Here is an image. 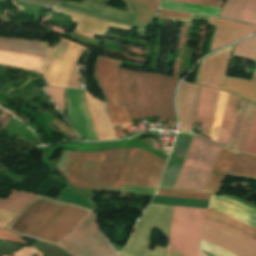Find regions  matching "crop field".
I'll list each match as a JSON object with an SVG mask.
<instances>
[{
    "label": "crop field",
    "mask_w": 256,
    "mask_h": 256,
    "mask_svg": "<svg viewBox=\"0 0 256 256\" xmlns=\"http://www.w3.org/2000/svg\"><path fill=\"white\" fill-rule=\"evenodd\" d=\"M87 211L39 195L33 203L28 202L7 229L55 244ZM56 244L73 256H111L116 253L100 232L91 210Z\"/></svg>",
    "instance_id": "obj_1"
},
{
    "label": "crop field",
    "mask_w": 256,
    "mask_h": 256,
    "mask_svg": "<svg viewBox=\"0 0 256 256\" xmlns=\"http://www.w3.org/2000/svg\"><path fill=\"white\" fill-rule=\"evenodd\" d=\"M143 151L136 148L99 152L63 150L55 166L76 187L118 191L120 184H133Z\"/></svg>",
    "instance_id": "obj_2"
},
{
    "label": "crop field",
    "mask_w": 256,
    "mask_h": 256,
    "mask_svg": "<svg viewBox=\"0 0 256 256\" xmlns=\"http://www.w3.org/2000/svg\"><path fill=\"white\" fill-rule=\"evenodd\" d=\"M211 199L227 202L233 206H236V207L256 216V210L251 209V208H249L239 202L231 200L229 198H225V197H221V196L212 194ZM213 200L210 201L208 208L217 210V211L227 214V215H230V216L256 228V217L255 216H253L249 213H246L236 207H233L227 203L213 201ZM217 211L207 209L205 218L216 221L221 224H224L231 228H234V229H236V230H238L256 240V229H254V228H252V227H250V226H248L230 216L221 214ZM206 219L204 221V226H203L204 228L216 231L220 234L230 237V238L256 250V241L255 240H253V239L249 238L248 236H246L236 230H233L229 227H226L224 225H221V224H218L216 222L209 221ZM204 228L202 231V237H201L202 240L208 241V242H210V243H212V244H214V245H216V246H218L236 256H256L255 251H253V250H251V249H249V248H247V247H245V246H243V245H241L223 235H220L216 232H213V231H210V230H207ZM202 240L200 242L199 248L203 252H205L211 256H234V255H232V254H230V253H228V252H226L208 242L202 241Z\"/></svg>",
    "instance_id": "obj_3"
},
{
    "label": "crop field",
    "mask_w": 256,
    "mask_h": 256,
    "mask_svg": "<svg viewBox=\"0 0 256 256\" xmlns=\"http://www.w3.org/2000/svg\"><path fill=\"white\" fill-rule=\"evenodd\" d=\"M126 108L132 119L160 116L175 120L173 99L177 79L118 68Z\"/></svg>",
    "instance_id": "obj_4"
},
{
    "label": "crop field",
    "mask_w": 256,
    "mask_h": 256,
    "mask_svg": "<svg viewBox=\"0 0 256 256\" xmlns=\"http://www.w3.org/2000/svg\"><path fill=\"white\" fill-rule=\"evenodd\" d=\"M221 149L195 135L174 188L203 191Z\"/></svg>",
    "instance_id": "obj_5"
},
{
    "label": "crop field",
    "mask_w": 256,
    "mask_h": 256,
    "mask_svg": "<svg viewBox=\"0 0 256 256\" xmlns=\"http://www.w3.org/2000/svg\"><path fill=\"white\" fill-rule=\"evenodd\" d=\"M205 209L175 206L168 240L169 247L184 256H196ZM197 256H207L200 249Z\"/></svg>",
    "instance_id": "obj_6"
},
{
    "label": "crop field",
    "mask_w": 256,
    "mask_h": 256,
    "mask_svg": "<svg viewBox=\"0 0 256 256\" xmlns=\"http://www.w3.org/2000/svg\"><path fill=\"white\" fill-rule=\"evenodd\" d=\"M68 42H69L68 40L61 38V40L59 41V43L56 45L54 49L48 48L45 61L40 71L41 75L45 76L52 58L59 59V60L62 59ZM80 47H81L80 45L70 41L62 61L55 60V59L52 60L50 67L48 69V72L45 76L47 83L57 87L66 86L71 65ZM85 50H86L85 48L81 47L72 65V69H71L66 87L79 88L80 74H76V70H77L78 60Z\"/></svg>",
    "instance_id": "obj_7"
},
{
    "label": "crop field",
    "mask_w": 256,
    "mask_h": 256,
    "mask_svg": "<svg viewBox=\"0 0 256 256\" xmlns=\"http://www.w3.org/2000/svg\"><path fill=\"white\" fill-rule=\"evenodd\" d=\"M121 60L99 56L96 63L95 77L108 100L107 108L114 126L134 124L123 103L118 83L117 67Z\"/></svg>",
    "instance_id": "obj_8"
},
{
    "label": "crop field",
    "mask_w": 256,
    "mask_h": 256,
    "mask_svg": "<svg viewBox=\"0 0 256 256\" xmlns=\"http://www.w3.org/2000/svg\"><path fill=\"white\" fill-rule=\"evenodd\" d=\"M226 96H227L226 93L219 91L215 119H214V123L211 129V135H210V138L214 140H217V137H218V133H219L222 117H223V112L225 108ZM241 101H242L241 99L228 94L222 126L220 130L219 138L217 141L223 145H226L230 131L235 122Z\"/></svg>",
    "instance_id": "obj_9"
},
{
    "label": "crop field",
    "mask_w": 256,
    "mask_h": 256,
    "mask_svg": "<svg viewBox=\"0 0 256 256\" xmlns=\"http://www.w3.org/2000/svg\"><path fill=\"white\" fill-rule=\"evenodd\" d=\"M210 17L209 23L216 26L217 31L215 33L212 51L231 43L235 40H238L244 36H248L249 34L256 31V26L247 25L235 21L223 20ZM213 21V23H212ZM216 30V29H215ZM212 46V44H211ZM211 50V48H210Z\"/></svg>",
    "instance_id": "obj_10"
},
{
    "label": "crop field",
    "mask_w": 256,
    "mask_h": 256,
    "mask_svg": "<svg viewBox=\"0 0 256 256\" xmlns=\"http://www.w3.org/2000/svg\"><path fill=\"white\" fill-rule=\"evenodd\" d=\"M232 46H233V44L203 59L199 81L201 80L204 63L209 60H211V63L208 62L205 64L201 83H198V84L215 87L219 90H222L224 75H225V72H226V69H227V66L229 63V62H226L228 54L215 60L211 76H207L209 63H210V68H209L208 75H210V73H211L213 61L215 58L229 52V57H228L227 61L230 60Z\"/></svg>",
    "instance_id": "obj_11"
},
{
    "label": "crop field",
    "mask_w": 256,
    "mask_h": 256,
    "mask_svg": "<svg viewBox=\"0 0 256 256\" xmlns=\"http://www.w3.org/2000/svg\"><path fill=\"white\" fill-rule=\"evenodd\" d=\"M194 135L179 133L174 150L171 153V160L167 165L166 171L162 178L161 187L173 188L176 182L181 165L187 153ZM160 187V186H159Z\"/></svg>",
    "instance_id": "obj_12"
},
{
    "label": "crop field",
    "mask_w": 256,
    "mask_h": 256,
    "mask_svg": "<svg viewBox=\"0 0 256 256\" xmlns=\"http://www.w3.org/2000/svg\"><path fill=\"white\" fill-rule=\"evenodd\" d=\"M54 12L71 15L72 22H77L76 29L83 30L89 33L103 36L109 29V27L119 28L124 30H132L131 27L92 17L86 14H82L76 11H70L66 9L54 8Z\"/></svg>",
    "instance_id": "obj_13"
},
{
    "label": "crop field",
    "mask_w": 256,
    "mask_h": 256,
    "mask_svg": "<svg viewBox=\"0 0 256 256\" xmlns=\"http://www.w3.org/2000/svg\"><path fill=\"white\" fill-rule=\"evenodd\" d=\"M62 6L95 13L103 17L134 25L133 15L131 13L121 11L96 0H82L79 4L64 0Z\"/></svg>",
    "instance_id": "obj_14"
},
{
    "label": "crop field",
    "mask_w": 256,
    "mask_h": 256,
    "mask_svg": "<svg viewBox=\"0 0 256 256\" xmlns=\"http://www.w3.org/2000/svg\"><path fill=\"white\" fill-rule=\"evenodd\" d=\"M218 91L200 87L195 121L201 122L200 133L208 136L214 115Z\"/></svg>",
    "instance_id": "obj_15"
},
{
    "label": "crop field",
    "mask_w": 256,
    "mask_h": 256,
    "mask_svg": "<svg viewBox=\"0 0 256 256\" xmlns=\"http://www.w3.org/2000/svg\"><path fill=\"white\" fill-rule=\"evenodd\" d=\"M155 159H156V156L152 155L147 151H144L143 158H142L140 167L136 173L133 185H140V186L148 185L151 169L155 162ZM165 162H166L165 160L159 157L157 158L152 169L148 186L157 187Z\"/></svg>",
    "instance_id": "obj_16"
},
{
    "label": "crop field",
    "mask_w": 256,
    "mask_h": 256,
    "mask_svg": "<svg viewBox=\"0 0 256 256\" xmlns=\"http://www.w3.org/2000/svg\"><path fill=\"white\" fill-rule=\"evenodd\" d=\"M219 16L256 24V0H227Z\"/></svg>",
    "instance_id": "obj_17"
},
{
    "label": "crop field",
    "mask_w": 256,
    "mask_h": 256,
    "mask_svg": "<svg viewBox=\"0 0 256 256\" xmlns=\"http://www.w3.org/2000/svg\"><path fill=\"white\" fill-rule=\"evenodd\" d=\"M235 156L236 153L229 152L224 148L222 149L219 158L213 167L209 182L204 192L219 195L225 176Z\"/></svg>",
    "instance_id": "obj_18"
},
{
    "label": "crop field",
    "mask_w": 256,
    "mask_h": 256,
    "mask_svg": "<svg viewBox=\"0 0 256 256\" xmlns=\"http://www.w3.org/2000/svg\"><path fill=\"white\" fill-rule=\"evenodd\" d=\"M254 107H255L254 104L245 100L242 101V104L237 116V120L235 122L234 128L228 140V143L226 145V147H228L229 149L238 151L243 141V137L247 129V126L249 124L250 118L252 116Z\"/></svg>",
    "instance_id": "obj_19"
},
{
    "label": "crop field",
    "mask_w": 256,
    "mask_h": 256,
    "mask_svg": "<svg viewBox=\"0 0 256 256\" xmlns=\"http://www.w3.org/2000/svg\"><path fill=\"white\" fill-rule=\"evenodd\" d=\"M86 97L96 126L98 138H115L111 123L106 115L105 106L100 101L92 98L88 93H86Z\"/></svg>",
    "instance_id": "obj_20"
},
{
    "label": "crop field",
    "mask_w": 256,
    "mask_h": 256,
    "mask_svg": "<svg viewBox=\"0 0 256 256\" xmlns=\"http://www.w3.org/2000/svg\"><path fill=\"white\" fill-rule=\"evenodd\" d=\"M0 50L44 56L46 46L35 40L0 37Z\"/></svg>",
    "instance_id": "obj_21"
},
{
    "label": "crop field",
    "mask_w": 256,
    "mask_h": 256,
    "mask_svg": "<svg viewBox=\"0 0 256 256\" xmlns=\"http://www.w3.org/2000/svg\"><path fill=\"white\" fill-rule=\"evenodd\" d=\"M43 57L0 51V64L39 71Z\"/></svg>",
    "instance_id": "obj_22"
},
{
    "label": "crop field",
    "mask_w": 256,
    "mask_h": 256,
    "mask_svg": "<svg viewBox=\"0 0 256 256\" xmlns=\"http://www.w3.org/2000/svg\"><path fill=\"white\" fill-rule=\"evenodd\" d=\"M223 90L256 103V82L225 77Z\"/></svg>",
    "instance_id": "obj_23"
},
{
    "label": "crop field",
    "mask_w": 256,
    "mask_h": 256,
    "mask_svg": "<svg viewBox=\"0 0 256 256\" xmlns=\"http://www.w3.org/2000/svg\"><path fill=\"white\" fill-rule=\"evenodd\" d=\"M227 175L256 179V158L237 154Z\"/></svg>",
    "instance_id": "obj_24"
},
{
    "label": "crop field",
    "mask_w": 256,
    "mask_h": 256,
    "mask_svg": "<svg viewBox=\"0 0 256 256\" xmlns=\"http://www.w3.org/2000/svg\"><path fill=\"white\" fill-rule=\"evenodd\" d=\"M38 195L13 191L7 199H0V210L20 213L28 201L33 202Z\"/></svg>",
    "instance_id": "obj_25"
},
{
    "label": "crop field",
    "mask_w": 256,
    "mask_h": 256,
    "mask_svg": "<svg viewBox=\"0 0 256 256\" xmlns=\"http://www.w3.org/2000/svg\"><path fill=\"white\" fill-rule=\"evenodd\" d=\"M134 11L138 27H146L155 14L150 6L142 0H127Z\"/></svg>",
    "instance_id": "obj_26"
},
{
    "label": "crop field",
    "mask_w": 256,
    "mask_h": 256,
    "mask_svg": "<svg viewBox=\"0 0 256 256\" xmlns=\"http://www.w3.org/2000/svg\"><path fill=\"white\" fill-rule=\"evenodd\" d=\"M161 8L218 15L220 9L161 0Z\"/></svg>",
    "instance_id": "obj_27"
},
{
    "label": "crop field",
    "mask_w": 256,
    "mask_h": 256,
    "mask_svg": "<svg viewBox=\"0 0 256 256\" xmlns=\"http://www.w3.org/2000/svg\"><path fill=\"white\" fill-rule=\"evenodd\" d=\"M239 152L256 157V107Z\"/></svg>",
    "instance_id": "obj_28"
},
{
    "label": "crop field",
    "mask_w": 256,
    "mask_h": 256,
    "mask_svg": "<svg viewBox=\"0 0 256 256\" xmlns=\"http://www.w3.org/2000/svg\"><path fill=\"white\" fill-rule=\"evenodd\" d=\"M152 203L163 204V205H179V206H187V207H201L206 209L209 202L200 201V200L155 196Z\"/></svg>",
    "instance_id": "obj_29"
},
{
    "label": "crop field",
    "mask_w": 256,
    "mask_h": 256,
    "mask_svg": "<svg viewBox=\"0 0 256 256\" xmlns=\"http://www.w3.org/2000/svg\"><path fill=\"white\" fill-rule=\"evenodd\" d=\"M233 55L244 56L253 60L256 57V36L237 43Z\"/></svg>",
    "instance_id": "obj_30"
},
{
    "label": "crop field",
    "mask_w": 256,
    "mask_h": 256,
    "mask_svg": "<svg viewBox=\"0 0 256 256\" xmlns=\"http://www.w3.org/2000/svg\"><path fill=\"white\" fill-rule=\"evenodd\" d=\"M156 195L160 196H170V197H181V198H193L202 199L209 201L210 194L199 193V192H188V191H176V190H164L158 189Z\"/></svg>",
    "instance_id": "obj_31"
},
{
    "label": "crop field",
    "mask_w": 256,
    "mask_h": 256,
    "mask_svg": "<svg viewBox=\"0 0 256 256\" xmlns=\"http://www.w3.org/2000/svg\"><path fill=\"white\" fill-rule=\"evenodd\" d=\"M58 199L65 201V202H69V203L82 205V206L91 208L90 201L87 198L81 196L80 194L74 192L73 190L69 189L66 186L63 189V191L61 192Z\"/></svg>",
    "instance_id": "obj_32"
},
{
    "label": "crop field",
    "mask_w": 256,
    "mask_h": 256,
    "mask_svg": "<svg viewBox=\"0 0 256 256\" xmlns=\"http://www.w3.org/2000/svg\"><path fill=\"white\" fill-rule=\"evenodd\" d=\"M194 15L191 14H185V13H178V12H172V11H166L161 10L158 17L160 18H167V19H175V20H182V21H188L192 20Z\"/></svg>",
    "instance_id": "obj_33"
},
{
    "label": "crop field",
    "mask_w": 256,
    "mask_h": 256,
    "mask_svg": "<svg viewBox=\"0 0 256 256\" xmlns=\"http://www.w3.org/2000/svg\"><path fill=\"white\" fill-rule=\"evenodd\" d=\"M63 91L64 89L62 88H51V87L46 88V92L57 104V106L61 111L63 109Z\"/></svg>",
    "instance_id": "obj_34"
},
{
    "label": "crop field",
    "mask_w": 256,
    "mask_h": 256,
    "mask_svg": "<svg viewBox=\"0 0 256 256\" xmlns=\"http://www.w3.org/2000/svg\"><path fill=\"white\" fill-rule=\"evenodd\" d=\"M0 240L26 244L21 237L3 228H0Z\"/></svg>",
    "instance_id": "obj_35"
},
{
    "label": "crop field",
    "mask_w": 256,
    "mask_h": 256,
    "mask_svg": "<svg viewBox=\"0 0 256 256\" xmlns=\"http://www.w3.org/2000/svg\"><path fill=\"white\" fill-rule=\"evenodd\" d=\"M171 1L205 5V6L218 7V8H221L222 2H223L220 0H171Z\"/></svg>",
    "instance_id": "obj_36"
},
{
    "label": "crop field",
    "mask_w": 256,
    "mask_h": 256,
    "mask_svg": "<svg viewBox=\"0 0 256 256\" xmlns=\"http://www.w3.org/2000/svg\"><path fill=\"white\" fill-rule=\"evenodd\" d=\"M51 124L57 126L63 133L69 136L77 137L75 132H73L70 128H68L64 123L60 122L59 120L56 119Z\"/></svg>",
    "instance_id": "obj_37"
},
{
    "label": "crop field",
    "mask_w": 256,
    "mask_h": 256,
    "mask_svg": "<svg viewBox=\"0 0 256 256\" xmlns=\"http://www.w3.org/2000/svg\"><path fill=\"white\" fill-rule=\"evenodd\" d=\"M143 1H145L147 4L154 7L155 9H158L159 0H143Z\"/></svg>",
    "instance_id": "obj_38"
},
{
    "label": "crop field",
    "mask_w": 256,
    "mask_h": 256,
    "mask_svg": "<svg viewBox=\"0 0 256 256\" xmlns=\"http://www.w3.org/2000/svg\"><path fill=\"white\" fill-rule=\"evenodd\" d=\"M116 132L117 138L125 137V133L123 131V128H114Z\"/></svg>",
    "instance_id": "obj_39"
},
{
    "label": "crop field",
    "mask_w": 256,
    "mask_h": 256,
    "mask_svg": "<svg viewBox=\"0 0 256 256\" xmlns=\"http://www.w3.org/2000/svg\"><path fill=\"white\" fill-rule=\"evenodd\" d=\"M201 61H202V60H201ZM200 66H201V62H200V65H199V69H198V73H197V77H196V81H195V83H196V84H197V82H198V77H199Z\"/></svg>",
    "instance_id": "obj_40"
},
{
    "label": "crop field",
    "mask_w": 256,
    "mask_h": 256,
    "mask_svg": "<svg viewBox=\"0 0 256 256\" xmlns=\"http://www.w3.org/2000/svg\"><path fill=\"white\" fill-rule=\"evenodd\" d=\"M251 80L256 81V68H255V71H254V74H253V76H252V79H251Z\"/></svg>",
    "instance_id": "obj_41"
},
{
    "label": "crop field",
    "mask_w": 256,
    "mask_h": 256,
    "mask_svg": "<svg viewBox=\"0 0 256 256\" xmlns=\"http://www.w3.org/2000/svg\"><path fill=\"white\" fill-rule=\"evenodd\" d=\"M3 168L2 166H0V169Z\"/></svg>",
    "instance_id": "obj_42"
},
{
    "label": "crop field",
    "mask_w": 256,
    "mask_h": 256,
    "mask_svg": "<svg viewBox=\"0 0 256 256\" xmlns=\"http://www.w3.org/2000/svg\"><path fill=\"white\" fill-rule=\"evenodd\" d=\"M254 61H256V58L254 59Z\"/></svg>",
    "instance_id": "obj_43"
},
{
    "label": "crop field",
    "mask_w": 256,
    "mask_h": 256,
    "mask_svg": "<svg viewBox=\"0 0 256 256\" xmlns=\"http://www.w3.org/2000/svg\"><path fill=\"white\" fill-rule=\"evenodd\" d=\"M113 256H118V255H113Z\"/></svg>",
    "instance_id": "obj_44"
}]
</instances>
